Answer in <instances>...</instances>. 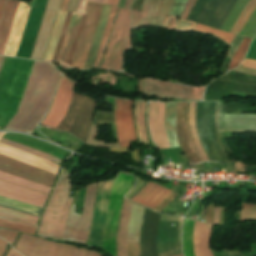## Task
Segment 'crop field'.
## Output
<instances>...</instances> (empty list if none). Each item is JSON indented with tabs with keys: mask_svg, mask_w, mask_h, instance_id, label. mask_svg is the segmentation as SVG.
<instances>
[{
	"mask_svg": "<svg viewBox=\"0 0 256 256\" xmlns=\"http://www.w3.org/2000/svg\"><path fill=\"white\" fill-rule=\"evenodd\" d=\"M137 92L142 93V78L138 80Z\"/></svg>",
	"mask_w": 256,
	"mask_h": 256,
	"instance_id": "obj_65",
	"label": "crop field"
},
{
	"mask_svg": "<svg viewBox=\"0 0 256 256\" xmlns=\"http://www.w3.org/2000/svg\"><path fill=\"white\" fill-rule=\"evenodd\" d=\"M102 6L101 4L88 2L87 14L70 67L79 69L84 67Z\"/></svg>",
	"mask_w": 256,
	"mask_h": 256,
	"instance_id": "obj_8",
	"label": "crop field"
},
{
	"mask_svg": "<svg viewBox=\"0 0 256 256\" xmlns=\"http://www.w3.org/2000/svg\"><path fill=\"white\" fill-rule=\"evenodd\" d=\"M132 203L125 200L121 212L120 224L117 235L118 256L126 255V235ZM128 256H139L138 243H127Z\"/></svg>",
	"mask_w": 256,
	"mask_h": 256,
	"instance_id": "obj_17",
	"label": "crop field"
},
{
	"mask_svg": "<svg viewBox=\"0 0 256 256\" xmlns=\"http://www.w3.org/2000/svg\"><path fill=\"white\" fill-rule=\"evenodd\" d=\"M96 186H97V184L87 186L82 216H81L80 224H79V227H78V230L76 233V237L74 240L76 242L86 244L88 231H89V227H90V219H91L93 202H94V197H95V192H96Z\"/></svg>",
	"mask_w": 256,
	"mask_h": 256,
	"instance_id": "obj_19",
	"label": "crop field"
},
{
	"mask_svg": "<svg viewBox=\"0 0 256 256\" xmlns=\"http://www.w3.org/2000/svg\"><path fill=\"white\" fill-rule=\"evenodd\" d=\"M256 7V0H251L240 15L236 25L232 28L230 33L239 34L245 25L247 19Z\"/></svg>",
	"mask_w": 256,
	"mask_h": 256,
	"instance_id": "obj_39",
	"label": "crop field"
},
{
	"mask_svg": "<svg viewBox=\"0 0 256 256\" xmlns=\"http://www.w3.org/2000/svg\"><path fill=\"white\" fill-rule=\"evenodd\" d=\"M74 85L75 83L61 77L55 101L43 125L56 128L65 115Z\"/></svg>",
	"mask_w": 256,
	"mask_h": 256,
	"instance_id": "obj_13",
	"label": "crop field"
},
{
	"mask_svg": "<svg viewBox=\"0 0 256 256\" xmlns=\"http://www.w3.org/2000/svg\"><path fill=\"white\" fill-rule=\"evenodd\" d=\"M188 102L177 103L176 124L182 149L189 162L201 161L191 140L187 124Z\"/></svg>",
	"mask_w": 256,
	"mask_h": 256,
	"instance_id": "obj_15",
	"label": "crop field"
},
{
	"mask_svg": "<svg viewBox=\"0 0 256 256\" xmlns=\"http://www.w3.org/2000/svg\"><path fill=\"white\" fill-rule=\"evenodd\" d=\"M234 71L245 72V73H250V74L256 75V70L243 68V67H239V68L235 69Z\"/></svg>",
	"mask_w": 256,
	"mask_h": 256,
	"instance_id": "obj_57",
	"label": "crop field"
},
{
	"mask_svg": "<svg viewBox=\"0 0 256 256\" xmlns=\"http://www.w3.org/2000/svg\"><path fill=\"white\" fill-rule=\"evenodd\" d=\"M131 0H126L125 4H124V9L128 8L129 4H130Z\"/></svg>",
	"mask_w": 256,
	"mask_h": 256,
	"instance_id": "obj_71",
	"label": "crop field"
},
{
	"mask_svg": "<svg viewBox=\"0 0 256 256\" xmlns=\"http://www.w3.org/2000/svg\"><path fill=\"white\" fill-rule=\"evenodd\" d=\"M235 2L236 0H197L188 19L194 21L203 7L196 22L219 29Z\"/></svg>",
	"mask_w": 256,
	"mask_h": 256,
	"instance_id": "obj_6",
	"label": "crop field"
},
{
	"mask_svg": "<svg viewBox=\"0 0 256 256\" xmlns=\"http://www.w3.org/2000/svg\"><path fill=\"white\" fill-rule=\"evenodd\" d=\"M0 212L10 214V215H14V216H18V217H22V218H26V219H30V220H34L36 222L38 220V217L23 214V213L16 212V211L9 210V209L2 208V207H0ZM2 213H0V218H4V219H7V220H11V221H15V222H19V223H23V224H27V225H31V226L36 227V222H34V221H30V220H26V219L14 217V216L2 214Z\"/></svg>",
	"mask_w": 256,
	"mask_h": 256,
	"instance_id": "obj_32",
	"label": "crop field"
},
{
	"mask_svg": "<svg viewBox=\"0 0 256 256\" xmlns=\"http://www.w3.org/2000/svg\"><path fill=\"white\" fill-rule=\"evenodd\" d=\"M144 107H145V102H135L134 115L136 120L139 142L145 143L148 145L145 127H144Z\"/></svg>",
	"mask_w": 256,
	"mask_h": 256,
	"instance_id": "obj_29",
	"label": "crop field"
},
{
	"mask_svg": "<svg viewBox=\"0 0 256 256\" xmlns=\"http://www.w3.org/2000/svg\"><path fill=\"white\" fill-rule=\"evenodd\" d=\"M176 18L174 17H168L166 24L164 27L173 29V24Z\"/></svg>",
	"mask_w": 256,
	"mask_h": 256,
	"instance_id": "obj_58",
	"label": "crop field"
},
{
	"mask_svg": "<svg viewBox=\"0 0 256 256\" xmlns=\"http://www.w3.org/2000/svg\"><path fill=\"white\" fill-rule=\"evenodd\" d=\"M77 248L64 244L49 243L45 256H74Z\"/></svg>",
	"mask_w": 256,
	"mask_h": 256,
	"instance_id": "obj_34",
	"label": "crop field"
},
{
	"mask_svg": "<svg viewBox=\"0 0 256 256\" xmlns=\"http://www.w3.org/2000/svg\"><path fill=\"white\" fill-rule=\"evenodd\" d=\"M143 210H144L143 207L133 203L128 235H127V242H138V235H139Z\"/></svg>",
	"mask_w": 256,
	"mask_h": 256,
	"instance_id": "obj_27",
	"label": "crop field"
},
{
	"mask_svg": "<svg viewBox=\"0 0 256 256\" xmlns=\"http://www.w3.org/2000/svg\"><path fill=\"white\" fill-rule=\"evenodd\" d=\"M0 226L1 227H5V228H9V229H13V230H17L20 232H24L27 234H31L34 235L35 232V227H31V226H27V225H23V224H19V223H15V222H11V221H7L4 219H0Z\"/></svg>",
	"mask_w": 256,
	"mask_h": 256,
	"instance_id": "obj_42",
	"label": "crop field"
},
{
	"mask_svg": "<svg viewBox=\"0 0 256 256\" xmlns=\"http://www.w3.org/2000/svg\"><path fill=\"white\" fill-rule=\"evenodd\" d=\"M242 65L256 67V61L245 59Z\"/></svg>",
	"mask_w": 256,
	"mask_h": 256,
	"instance_id": "obj_59",
	"label": "crop field"
},
{
	"mask_svg": "<svg viewBox=\"0 0 256 256\" xmlns=\"http://www.w3.org/2000/svg\"><path fill=\"white\" fill-rule=\"evenodd\" d=\"M5 133H0V138L4 135ZM0 153L7 155L9 157L15 158L17 160L26 162L28 164L34 165L36 167L42 168L44 170L50 171L54 174H57V169L59 166L54 165L44 159H41L39 157L33 156L31 154H28L24 151L6 146L4 144L0 143Z\"/></svg>",
	"mask_w": 256,
	"mask_h": 256,
	"instance_id": "obj_20",
	"label": "crop field"
},
{
	"mask_svg": "<svg viewBox=\"0 0 256 256\" xmlns=\"http://www.w3.org/2000/svg\"><path fill=\"white\" fill-rule=\"evenodd\" d=\"M69 176V173H61L56 189L45 212L38 234L58 239L61 238L69 207L73 199H68V203L64 211L68 192L71 186V184L67 182Z\"/></svg>",
	"mask_w": 256,
	"mask_h": 256,
	"instance_id": "obj_2",
	"label": "crop field"
},
{
	"mask_svg": "<svg viewBox=\"0 0 256 256\" xmlns=\"http://www.w3.org/2000/svg\"><path fill=\"white\" fill-rule=\"evenodd\" d=\"M172 2L173 0H162L159 17L169 14V10L172 5Z\"/></svg>",
	"mask_w": 256,
	"mask_h": 256,
	"instance_id": "obj_46",
	"label": "crop field"
},
{
	"mask_svg": "<svg viewBox=\"0 0 256 256\" xmlns=\"http://www.w3.org/2000/svg\"><path fill=\"white\" fill-rule=\"evenodd\" d=\"M242 39H243V37L236 35V37L234 38L233 42L230 45L231 50H230L228 56L233 57V55H234L235 51L237 50L239 44L241 43Z\"/></svg>",
	"mask_w": 256,
	"mask_h": 256,
	"instance_id": "obj_50",
	"label": "crop field"
},
{
	"mask_svg": "<svg viewBox=\"0 0 256 256\" xmlns=\"http://www.w3.org/2000/svg\"><path fill=\"white\" fill-rule=\"evenodd\" d=\"M66 13L67 12H61V11L58 12V15H57V18L55 21V25H54V28H53V31H52V34H51V37H50V40H49V43L47 46V50H46L43 60L50 61L52 59Z\"/></svg>",
	"mask_w": 256,
	"mask_h": 256,
	"instance_id": "obj_28",
	"label": "crop field"
},
{
	"mask_svg": "<svg viewBox=\"0 0 256 256\" xmlns=\"http://www.w3.org/2000/svg\"><path fill=\"white\" fill-rule=\"evenodd\" d=\"M0 195L34 206L43 207L47 195L0 180Z\"/></svg>",
	"mask_w": 256,
	"mask_h": 256,
	"instance_id": "obj_16",
	"label": "crop field"
},
{
	"mask_svg": "<svg viewBox=\"0 0 256 256\" xmlns=\"http://www.w3.org/2000/svg\"><path fill=\"white\" fill-rule=\"evenodd\" d=\"M134 176H127L118 173L112 182L109 206L107 211L104 235L103 249L115 256V235L118 223L122 197L132 186Z\"/></svg>",
	"mask_w": 256,
	"mask_h": 256,
	"instance_id": "obj_4",
	"label": "crop field"
},
{
	"mask_svg": "<svg viewBox=\"0 0 256 256\" xmlns=\"http://www.w3.org/2000/svg\"><path fill=\"white\" fill-rule=\"evenodd\" d=\"M216 122L219 130H241L256 132V114L221 113L220 102H217Z\"/></svg>",
	"mask_w": 256,
	"mask_h": 256,
	"instance_id": "obj_14",
	"label": "crop field"
},
{
	"mask_svg": "<svg viewBox=\"0 0 256 256\" xmlns=\"http://www.w3.org/2000/svg\"><path fill=\"white\" fill-rule=\"evenodd\" d=\"M166 17L167 16H165V17H161V18H157L158 19V21H157V25L156 26H160V27H163L164 26V24H165V21H166Z\"/></svg>",
	"mask_w": 256,
	"mask_h": 256,
	"instance_id": "obj_62",
	"label": "crop field"
},
{
	"mask_svg": "<svg viewBox=\"0 0 256 256\" xmlns=\"http://www.w3.org/2000/svg\"><path fill=\"white\" fill-rule=\"evenodd\" d=\"M193 24H194L193 22L180 19V20L177 21V23L175 24V29H179V30H190V29L192 28Z\"/></svg>",
	"mask_w": 256,
	"mask_h": 256,
	"instance_id": "obj_47",
	"label": "crop field"
},
{
	"mask_svg": "<svg viewBox=\"0 0 256 256\" xmlns=\"http://www.w3.org/2000/svg\"><path fill=\"white\" fill-rule=\"evenodd\" d=\"M250 0H237L236 4L234 5L233 9L231 10L228 18L223 23L221 30L229 32L231 28L234 26L235 22L237 21L241 11L246 6V4Z\"/></svg>",
	"mask_w": 256,
	"mask_h": 256,
	"instance_id": "obj_33",
	"label": "crop field"
},
{
	"mask_svg": "<svg viewBox=\"0 0 256 256\" xmlns=\"http://www.w3.org/2000/svg\"><path fill=\"white\" fill-rule=\"evenodd\" d=\"M78 0H70L68 4V10L67 11H75L77 6Z\"/></svg>",
	"mask_w": 256,
	"mask_h": 256,
	"instance_id": "obj_56",
	"label": "crop field"
},
{
	"mask_svg": "<svg viewBox=\"0 0 256 256\" xmlns=\"http://www.w3.org/2000/svg\"><path fill=\"white\" fill-rule=\"evenodd\" d=\"M256 33V9L246 25L244 26L243 30L241 31L240 35L252 38Z\"/></svg>",
	"mask_w": 256,
	"mask_h": 256,
	"instance_id": "obj_45",
	"label": "crop field"
},
{
	"mask_svg": "<svg viewBox=\"0 0 256 256\" xmlns=\"http://www.w3.org/2000/svg\"><path fill=\"white\" fill-rule=\"evenodd\" d=\"M5 0H0V15L3 9V5H4Z\"/></svg>",
	"mask_w": 256,
	"mask_h": 256,
	"instance_id": "obj_70",
	"label": "crop field"
},
{
	"mask_svg": "<svg viewBox=\"0 0 256 256\" xmlns=\"http://www.w3.org/2000/svg\"><path fill=\"white\" fill-rule=\"evenodd\" d=\"M124 2H125V0H120V2H119V7H123V4H124Z\"/></svg>",
	"mask_w": 256,
	"mask_h": 256,
	"instance_id": "obj_75",
	"label": "crop field"
},
{
	"mask_svg": "<svg viewBox=\"0 0 256 256\" xmlns=\"http://www.w3.org/2000/svg\"><path fill=\"white\" fill-rule=\"evenodd\" d=\"M251 39L250 38H245L243 39L242 43L240 44L238 50L236 51L230 65H229V69H232L236 66L239 65L243 55H245L246 51H247V48H248V45L250 43Z\"/></svg>",
	"mask_w": 256,
	"mask_h": 256,
	"instance_id": "obj_43",
	"label": "crop field"
},
{
	"mask_svg": "<svg viewBox=\"0 0 256 256\" xmlns=\"http://www.w3.org/2000/svg\"><path fill=\"white\" fill-rule=\"evenodd\" d=\"M18 1L8 0L0 23V54L3 53L6 40L15 16Z\"/></svg>",
	"mask_w": 256,
	"mask_h": 256,
	"instance_id": "obj_24",
	"label": "crop field"
},
{
	"mask_svg": "<svg viewBox=\"0 0 256 256\" xmlns=\"http://www.w3.org/2000/svg\"><path fill=\"white\" fill-rule=\"evenodd\" d=\"M9 249H10V246L8 245L7 246V248L5 249V251H4V253H3V255L2 256H6V254L8 253V251H9Z\"/></svg>",
	"mask_w": 256,
	"mask_h": 256,
	"instance_id": "obj_73",
	"label": "crop field"
},
{
	"mask_svg": "<svg viewBox=\"0 0 256 256\" xmlns=\"http://www.w3.org/2000/svg\"><path fill=\"white\" fill-rule=\"evenodd\" d=\"M132 105L133 101L116 99L115 117L120 147H129L130 141H136Z\"/></svg>",
	"mask_w": 256,
	"mask_h": 256,
	"instance_id": "obj_11",
	"label": "crop field"
},
{
	"mask_svg": "<svg viewBox=\"0 0 256 256\" xmlns=\"http://www.w3.org/2000/svg\"><path fill=\"white\" fill-rule=\"evenodd\" d=\"M3 58H4V57H1V56H0V67H1V64H2V61H3Z\"/></svg>",
	"mask_w": 256,
	"mask_h": 256,
	"instance_id": "obj_76",
	"label": "crop field"
},
{
	"mask_svg": "<svg viewBox=\"0 0 256 256\" xmlns=\"http://www.w3.org/2000/svg\"><path fill=\"white\" fill-rule=\"evenodd\" d=\"M58 76L48 63L35 61L19 109L4 130L31 134L48 108Z\"/></svg>",
	"mask_w": 256,
	"mask_h": 256,
	"instance_id": "obj_1",
	"label": "crop field"
},
{
	"mask_svg": "<svg viewBox=\"0 0 256 256\" xmlns=\"http://www.w3.org/2000/svg\"><path fill=\"white\" fill-rule=\"evenodd\" d=\"M221 255L222 256H244L239 252V250L226 252L225 249L221 250Z\"/></svg>",
	"mask_w": 256,
	"mask_h": 256,
	"instance_id": "obj_54",
	"label": "crop field"
},
{
	"mask_svg": "<svg viewBox=\"0 0 256 256\" xmlns=\"http://www.w3.org/2000/svg\"><path fill=\"white\" fill-rule=\"evenodd\" d=\"M204 87L195 88L143 79V94L168 99H201Z\"/></svg>",
	"mask_w": 256,
	"mask_h": 256,
	"instance_id": "obj_9",
	"label": "crop field"
},
{
	"mask_svg": "<svg viewBox=\"0 0 256 256\" xmlns=\"http://www.w3.org/2000/svg\"><path fill=\"white\" fill-rule=\"evenodd\" d=\"M68 1H69V0H65L62 10L66 11V6H67V4H68Z\"/></svg>",
	"mask_w": 256,
	"mask_h": 256,
	"instance_id": "obj_74",
	"label": "crop field"
},
{
	"mask_svg": "<svg viewBox=\"0 0 256 256\" xmlns=\"http://www.w3.org/2000/svg\"><path fill=\"white\" fill-rule=\"evenodd\" d=\"M17 233H18V232L15 231L14 234H13V236H12V238H11V240L9 241L11 244H12V242L14 241V239H15Z\"/></svg>",
	"mask_w": 256,
	"mask_h": 256,
	"instance_id": "obj_72",
	"label": "crop field"
},
{
	"mask_svg": "<svg viewBox=\"0 0 256 256\" xmlns=\"http://www.w3.org/2000/svg\"><path fill=\"white\" fill-rule=\"evenodd\" d=\"M194 2H195V0H188V3H187V5H186V7H185V9H184V11L181 15V18L187 19L188 15L191 11V7H192Z\"/></svg>",
	"mask_w": 256,
	"mask_h": 256,
	"instance_id": "obj_52",
	"label": "crop field"
},
{
	"mask_svg": "<svg viewBox=\"0 0 256 256\" xmlns=\"http://www.w3.org/2000/svg\"><path fill=\"white\" fill-rule=\"evenodd\" d=\"M194 221L185 219L183 227V253L185 256H194L192 252V229Z\"/></svg>",
	"mask_w": 256,
	"mask_h": 256,
	"instance_id": "obj_36",
	"label": "crop field"
},
{
	"mask_svg": "<svg viewBox=\"0 0 256 256\" xmlns=\"http://www.w3.org/2000/svg\"><path fill=\"white\" fill-rule=\"evenodd\" d=\"M118 2H119V0H108L107 4L117 6Z\"/></svg>",
	"mask_w": 256,
	"mask_h": 256,
	"instance_id": "obj_68",
	"label": "crop field"
},
{
	"mask_svg": "<svg viewBox=\"0 0 256 256\" xmlns=\"http://www.w3.org/2000/svg\"><path fill=\"white\" fill-rule=\"evenodd\" d=\"M48 242L23 233L15 248L24 256H43Z\"/></svg>",
	"mask_w": 256,
	"mask_h": 256,
	"instance_id": "obj_23",
	"label": "crop field"
},
{
	"mask_svg": "<svg viewBox=\"0 0 256 256\" xmlns=\"http://www.w3.org/2000/svg\"><path fill=\"white\" fill-rule=\"evenodd\" d=\"M160 3H161V0H157V4H156V8H155V11H154V15H153V16H157Z\"/></svg>",
	"mask_w": 256,
	"mask_h": 256,
	"instance_id": "obj_67",
	"label": "crop field"
},
{
	"mask_svg": "<svg viewBox=\"0 0 256 256\" xmlns=\"http://www.w3.org/2000/svg\"><path fill=\"white\" fill-rule=\"evenodd\" d=\"M14 231L12 230H6L0 228V237L5 239L6 241H9Z\"/></svg>",
	"mask_w": 256,
	"mask_h": 256,
	"instance_id": "obj_53",
	"label": "crop field"
},
{
	"mask_svg": "<svg viewBox=\"0 0 256 256\" xmlns=\"http://www.w3.org/2000/svg\"><path fill=\"white\" fill-rule=\"evenodd\" d=\"M76 256H103V255L97 251L78 248Z\"/></svg>",
	"mask_w": 256,
	"mask_h": 256,
	"instance_id": "obj_51",
	"label": "crop field"
},
{
	"mask_svg": "<svg viewBox=\"0 0 256 256\" xmlns=\"http://www.w3.org/2000/svg\"><path fill=\"white\" fill-rule=\"evenodd\" d=\"M134 151V150H133ZM132 157H133V160L136 162V163H139V153H138V149H136L134 152H132Z\"/></svg>",
	"mask_w": 256,
	"mask_h": 256,
	"instance_id": "obj_61",
	"label": "crop field"
},
{
	"mask_svg": "<svg viewBox=\"0 0 256 256\" xmlns=\"http://www.w3.org/2000/svg\"><path fill=\"white\" fill-rule=\"evenodd\" d=\"M87 1L105 4L107 0H79V4L76 11L86 12Z\"/></svg>",
	"mask_w": 256,
	"mask_h": 256,
	"instance_id": "obj_49",
	"label": "crop field"
},
{
	"mask_svg": "<svg viewBox=\"0 0 256 256\" xmlns=\"http://www.w3.org/2000/svg\"><path fill=\"white\" fill-rule=\"evenodd\" d=\"M111 6L104 5L84 68L92 67Z\"/></svg>",
	"mask_w": 256,
	"mask_h": 256,
	"instance_id": "obj_25",
	"label": "crop field"
},
{
	"mask_svg": "<svg viewBox=\"0 0 256 256\" xmlns=\"http://www.w3.org/2000/svg\"><path fill=\"white\" fill-rule=\"evenodd\" d=\"M0 171L21 177L23 179L52 187L55 175L24 165L0 155Z\"/></svg>",
	"mask_w": 256,
	"mask_h": 256,
	"instance_id": "obj_10",
	"label": "crop field"
},
{
	"mask_svg": "<svg viewBox=\"0 0 256 256\" xmlns=\"http://www.w3.org/2000/svg\"><path fill=\"white\" fill-rule=\"evenodd\" d=\"M30 7L19 3L3 54L15 56Z\"/></svg>",
	"mask_w": 256,
	"mask_h": 256,
	"instance_id": "obj_18",
	"label": "crop field"
},
{
	"mask_svg": "<svg viewBox=\"0 0 256 256\" xmlns=\"http://www.w3.org/2000/svg\"><path fill=\"white\" fill-rule=\"evenodd\" d=\"M0 203L8 205V206L15 207V208H18V209H22V210H25V211H28V212H32V213H35V214L37 213V211L39 209L38 207H34V206H31V205L24 204V203L14 201V200H11V199H8V198H4V197H1V196H0Z\"/></svg>",
	"mask_w": 256,
	"mask_h": 256,
	"instance_id": "obj_44",
	"label": "crop field"
},
{
	"mask_svg": "<svg viewBox=\"0 0 256 256\" xmlns=\"http://www.w3.org/2000/svg\"><path fill=\"white\" fill-rule=\"evenodd\" d=\"M171 191L149 182L141 191H139L131 200L153 209L159 204Z\"/></svg>",
	"mask_w": 256,
	"mask_h": 256,
	"instance_id": "obj_21",
	"label": "crop field"
},
{
	"mask_svg": "<svg viewBox=\"0 0 256 256\" xmlns=\"http://www.w3.org/2000/svg\"><path fill=\"white\" fill-rule=\"evenodd\" d=\"M0 142L5 143V144H9V145H12V146H15V147H18V148H21V149H23V150H25V151H28V152H30V153H33V154H35V155H37V156H40V157H42V158H44V159L50 160V161L55 162V163H57V164H60V163H61L60 160H58V159H56V158H54V157H52V156H50V155H48V154H46V153H43V152L37 151V150H35V149H32V148H29V147H26V146H23V145L14 143V142H12V141H9V140H6V139L1 138V139H0Z\"/></svg>",
	"mask_w": 256,
	"mask_h": 256,
	"instance_id": "obj_41",
	"label": "crop field"
},
{
	"mask_svg": "<svg viewBox=\"0 0 256 256\" xmlns=\"http://www.w3.org/2000/svg\"><path fill=\"white\" fill-rule=\"evenodd\" d=\"M212 225L196 221L194 230L195 256H212L209 250Z\"/></svg>",
	"mask_w": 256,
	"mask_h": 256,
	"instance_id": "obj_22",
	"label": "crop field"
},
{
	"mask_svg": "<svg viewBox=\"0 0 256 256\" xmlns=\"http://www.w3.org/2000/svg\"><path fill=\"white\" fill-rule=\"evenodd\" d=\"M116 8L117 7H114V6L111 7L110 14H109V17H108V20H107V23H106V27H105V30H104V33H103V37H102V40H101L99 50H98V53H97V56H96L95 63H94L93 67H97V68L99 67V64H100V61H101V58H102V54H103V51H104V48H105V45H106V42H107V39H108L110 29H111V25H112V22H113V18H114L115 12H116Z\"/></svg>",
	"mask_w": 256,
	"mask_h": 256,
	"instance_id": "obj_35",
	"label": "crop field"
},
{
	"mask_svg": "<svg viewBox=\"0 0 256 256\" xmlns=\"http://www.w3.org/2000/svg\"><path fill=\"white\" fill-rule=\"evenodd\" d=\"M64 0H48L43 19L30 58L42 59L45 46L56 15L55 10H61Z\"/></svg>",
	"mask_w": 256,
	"mask_h": 256,
	"instance_id": "obj_12",
	"label": "crop field"
},
{
	"mask_svg": "<svg viewBox=\"0 0 256 256\" xmlns=\"http://www.w3.org/2000/svg\"><path fill=\"white\" fill-rule=\"evenodd\" d=\"M96 101L73 92L66 115L57 129L69 132L86 142Z\"/></svg>",
	"mask_w": 256,
	"mask_h": 256,
	"instance_id": "obj_3",
	"label": "crop field"
},
{
	"mask_svg": "<svg viewBox=\"0 0 256 256\" xmlns=\"http://www.w3.org/2000/svg\"><path fill=\"white\" fill-rule=\"evenodd\" d=\"M219 207L215 208L213 223L218 224Z\"/></svg>",
	"mask_w": 256,
	"mask_h": 256,
	"instance_id": "obj_63",
	"label": "crop field"
},
{
	"mask_svg": "<svg viewBox=\"0 0 256 256\" xmlns=\"http://www.w3.org/2000/svg\"><path fill=\"white\" fill-rule=\"evenodd\" d=\"M193 30L215 35L220 39H222L223 41L227 42L229 45L232 42L233 38L235 37L234 34L226 33V32H223L211 27L203 26L197 23H195Z\"/></svg>",
	"mask_w": 256,
	"mask_h": 256,
	"instance_id": "obj_40",
	"label": "crop field"
},
{
	"mask_svg": "<svg viewBox=\"0 0 256 256\" xmlns=\"http://www.w3.org/2000/svg\"><path fill=\"white\" fill-rule=\"evenodd\" d=\"M0 179L6 180V181H9L12 183H16V184H19V185H22V186H25V187H28V188H31L34 190H38V191H41V192H44L47 194L50 191V188H47V187H44V186L29 182V181H26V180H23V179H20V178H17V177L8 175V174H5L2 172H0Z\"/></svg>",
	"mask_w": 256,
	"mask_h": 256,
	"instance_id": "obj_38",
	"label": "crop field"
},
{
	"mask_svg": "<svg viewBox=\"0 0 256 256\" xmlns=\"http://www.w3.org/2000/svg\"><path fill=\"white\" fill-rule=\"evenodd\" d=\"M156 0H143L141 13L131 11L132 26L138 25V19L151 17L153 15Z\"/></svg>",
	"mask_w": 256,
	"mask_h": 256,
	"instance_id": "obj_37",
	"label": "crop field"
},
{
	"mask_svg": "<svg viewBox=\"0 0 256 256\" xmlns=\"http://www.w3.org/2000/svg\"><path fill=\"white\" fill-rule=\"evenodd\" d=\"M21 234H22V233L19 232L18 235H17V237H16V239H15V241L13 242L12 245H13L14 247H15L16 243L18 242V240H19Z\"/></svg>",
	"mask_w": 256,
	"mask_h": 256,
	"instance_id": "obj_69",
	"label": "crop field"
},
{
	"mask_svg": "<svg viewBox=\"0 0 256 256\" xmlns=\"http://www.w3.org/2000/svg\"><path fill=\"white\" fill-rule=\"evenodd\" d=\"M129 148H109L111 152H128Z\"/></svg>",
	"mask_w": 256,
	"mask_h": 256,
	"instance_id": "obj_60",
	"label": "crop field"
},
{
	"mask_svg": "<svg viewBox=\"0 0 256 256\" xmlns=\"http://www.w3.org/2000/svg\"><path fill=\"white\" fill-rule=\"evenodd\" d=\"M195 111H196V102H190L189 123L192 131L194 143L202 161H206L208 159L199 143V136H198L197 127L195 123Z\"/></svg>",
	"mask_w": 256,
	"mask_h": 256,
	"instance_id": "obj_31",
	"label": "crop field"
},
{
	"mask_svg": "<svg viewBox=\"0 0 256 256\" xmlns=\"http://www.w3.org/2000/svg\"><path fill=\"white\" fill-rule=\"evenodd\" d=\"M7 256H22V255L16 253V252L12 249V247H11V249H10V251H9V253H8Z\"/></svg>",
	"mask_w": 256,
	"mask_h": 256,
	"instance_id": "obj_66",
	"label": "crop field"
},
{
	"mask_svg": "<svg viewBox=\"0 0 256 256\" xmlns=\"http://www.w3.org/2000/svg\"><path fill=\"white\" fill-rule=\"evenodd\" d=\"M177 196V194L175 193H171L168 197H166L158 206H156L154 208V210L160 212L168 203H170L175 197Z\"/></svg>",
	"mask_w": 256,
	"mask_h": 256,
	"instance_id": "obj_48",
	"label": "crop field"
},
{
	"mask_svg": "<svg viewBox=\"0 0 256 256\" xmlns=\"http://www.w3.org/2000/svg\"><path fill=\"white\" fill-rule=\"evenodd\" d=\"M72 12H68L61 34H60V38L53 56V61H57L58 56H59V52L63 43V39L66 33V29L70 20V16H71ZM86 13H80V12H73L72 16H71V20L67 29V33L64 39V43L60 52V56H59V61L61 64H65V65H70L71 59H72V55L77 43V39L83 24V20L85 17ZM59 63V62H58Z\"/></svg>",
	"mask_w": 256,
	"mask_h": 256,
	"instance_id": "obj_7",
	"label": "crop field"
},
{
	"mask_svg": "<svg viewBox=\"0 0 256 256\" xmlns=\"http://www.w3.org/2000/svg\"><path fill=\"white\" fill-rule=\"evenodd\" d=\"M112 30L101 68L120 71L122 52L131 46L129 10L119 9Z\"/></svg>",
	"mask_w": 256,
	"mask_h": 256,
	"instance_id": "obj_5",
	"label": "crop field"
},
{
	"mask_svg": "<svg viewBox=\"0 0 256 256\" xmlns=\"http://www.w3.org/2000/svg\"><path fill=\"white\" fill-rule=\"evenodd\" d=\"M75 207L72 204L69 217L67 219L66 225L63 230L62 238L63 240H74L75 232L78 227L80 215L74 213Z\"/></svg>",
	"mask_w": 256,
	"mask_h": 256,
	"instance_id": "obj_30",
	"label": "crop field"
},
{
	"mask_svg": "<svg viewBox=\"0 0 256 256\" xmlns=\"http://www.w3.org/2000/svg\"><path fill=\"white\" fill-rule=\"evenodd\" d=\"M6 244H8V243L0 239V256L3 252V250L5 249Z\"/></svg>",
	"mask_w": 256,
	"mask_h": 256,
	"instance_id": "obj_64",
	"label": "crop field"
},
{
	"mask_svg": "<svg viewBox=\"0 0 256 256\" xmlns=\"http://www.w3.org/2000/svg\"><path fill=\"white\" fill-rule=\"evenodd\" d=\"M176 103H166L165 128L170 148L180 147L175 133Z\"/></svg>",
	"mask_w": 256,
	"mask_h": 256,
	"instance_id": "obj_26",
	"label": "crop field"
},
{
	"mask_svg": "<svg viewBox=\"0 0 256 256\" xmlns=\"http://www.w3.org/2000/svg\"><path fill=\"white\" fill-rule=\"evenodd\" d=\"M155 17L140 20V25H152L155 26Z\"/></svg>",
	"mask_w": 256,
	"mask_h": 256,
	"instance_id": "obj_55",
	"label": "crop field"
}]
</instances>
